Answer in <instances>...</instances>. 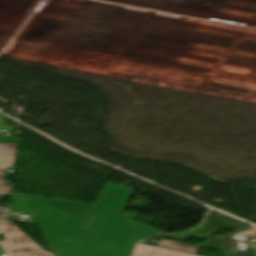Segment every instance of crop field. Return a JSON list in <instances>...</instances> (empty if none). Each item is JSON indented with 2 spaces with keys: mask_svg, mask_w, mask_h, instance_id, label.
<instances>
[{
  "mask_svg": "<svg viewBox=\"0 0 256 256\" xmlns=\"http://www.w3.org/2000/svg\"><path fill=\"white\" fill-rule=\"evenodd\" d=\"M157 233H158L157 231L152 230V232L149 234V236L156 235ZM149 236H148V237H149Z\"/></svg>",
  "mask_w": 256,
  "mask_h": 256,
  "instance_id": "d8731c3e",
  "label": "crop field"
},
{
  "mask_svg": "<svg viewBox=\"0 0 256 256\" xmlns=\"http://www.w3.org/2000/svg\"><path fill=\"white\" fill-rule=\"evenodd\" d=\"M133 189L106 185L96 205L13 194L10 211L33 214V222L104 234L136 242L151 229L121 216Z\"/></svg>",
  "mask_w": 256,
  "mask_h": 256,
  "instance_id": "8a807250",
  "label": "crop field"
},
{
  "mask_svg": "<svg viewBox=\"0 0 256 256\" xmlns=\"http://www.w3.org/2000/svg\"><path fill=\"white\" fill-rule=\"evenodd\" d=\"M217 238L226 256H256V246L249 232Z\"/></svg>",
  "mask_w": 256,
  "mask_h": 256,
  "instance_id": "412701ff",
  "label": "crop field"
},
{
  "mask_svg": "<svg viewBox=\"0 0 256 256\" xmlns=\"http://www.w3.org/2000/svg\"><path fill=\"white\" fill-rule=\"evenodd\" d=\"M133 256H192V255H187V254L170 251V250L152 248V247L138 244Z\"/></svg>",
  "mask_w": 256,
  "mask_h": 256,
  "instance_id": "dd49c442",
  "label": "crop field"
},
{
  "mask_svg": "<svg viewBox=\"0 0 256 256\" xmlns=\"http://www.w3.org/2000/svg\"><path fill=\"white\" fill-rule=\"evenodd\" d=\"M256 244V243H255Z\"/></svg>",
  "mask_w": 256,
  "mask_h": 256,
  "instance_id": "28ad6ade",
  "label": "crop field"
},
{
  "mask_svg": "<svg viewBox=\"0 0 256 256\" xmlns=\"http://www.w3.org/2000/svg\"><path fill=\"white\" fill-rule=\"evenodd\" d=\"M158 246L196 254L199 248L162 240Z\"/></svg>",
  "mask_w": 256,
  "mask_h": 256,
  "instance_id": "e52e79f7",
  "label": "crop field"
},
{
  "mask_svg": "<svg viewBox=\"0 0 256 256\" xmlns=\"http://www.w3.org/2000/svg\"><path fill=\"white\" fill-rule=\"evenodd\" d=\"M16 145L0 144V190L10 191V184L3 180L7 165L13 166Z\"/></svg>",
  "mask_w": 256,
  "mask_h": 256,
  "instance_id": "f4fd0767",
  "label": "crop field"
},
{
  "mask_svg": "<svg viewBox=\"0 0 256 256\" xmlns=\"http://www.w3.org/2000/svg\"><path fill=\"white\" fill-rule=\"evenodd\" d=\"M55 256H129L135 243L39 224Z\"/></svg>",
  "mask_w": 256,
  "mask_h": 256,
  "instance_id": "ac0d7876",
  "label": "crop field"
},
{
  "mask_svg": "<svg viewBox=\"0 0 256 256\" xmlns=\"http://www.w3.org/2000/svg\"><path fill=\"white\" fill-rule=\"evenodd\" d=\"M0 231L5 237L0 243L7 256H54L43 251L10 221L0 220Z\"/></svg>",
  "mask_w": 256,
  "mask_h": 256,
  "instance_id": "34b2d1b8",
  "label": "crop field"
},
{
  "mask_svg": "<svg viewBox=\"0 0 256 256\" xmlns=\"http://www.w3.org/2000/svg\"><path fill=\"white\" fill-rule=\"evenodd\" d=\"M0 194L9 195V194H10V192H7V191H0Z\"/></svg>",
  "mask_w": 256,
  "mask_h": 256,
  "instance_id": "5a996713",
  "label": "crop field"
},
{
  "mask_svg": "<svg viewBox=\"0 0 256 256\" xmlns=\"http://www.w3.org/2000/svg\"><path fill=\"white\" fill-rule=\"evenodd\" d=\"M0 256H1V248H0Z\"/></svg>",
  "mask_w": 256,
  "mask_h": 256,
  "instance_id": "3316defc",
  "label": "crop field"
}]
</instances>
